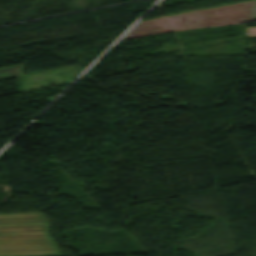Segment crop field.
<instances>
[{"instance_id": "8a807250", "label": "crop field", "mask_w": 256, "mask_h": 256, "mask_svg": "<svg viewBox=\"0 0 256 256\" xmlns=\"http://www.w3.org/2000/svg\"><path fill=\"white\" fill-rule=\"evenodd\" d=\"M0 256H61L42 213L0 214Z\"/></svg>"}]
</instances>
